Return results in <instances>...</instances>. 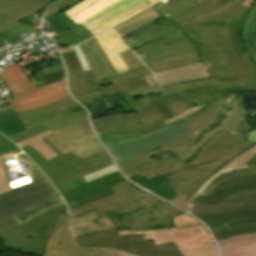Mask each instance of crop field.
<instances>
[{"mask_svg": "<svg viewBox=\"0 0 256 256\" xmlns=\"http://www.w3.org/2000/svg\"><path fill=\"white\" fill-rule=\"evenodd\" d=\"M151 6L160 17L164 15L178 30L201 22L229 20L232 46L237 57L246 51L241 24L249 9L237 0H179Z\"/></svg>", "mask_w": 256, "mask_h": 256, "instance_id": "34b2d1b8", "label": "crop field"}, {"mask_svg": "<svg viewBox=\"0 0 256 256\" xmlns=\"http://www.w3.org/2000/svg\"><path fill=\"white\" fill-rule=\"evenodd\" d=\"M246 165L249 166L251 169L234 171L219 177L217 180L211 182L210 185L207 186L199 196L212 192L216 187H218L219 185L223 184L226 181H230L232 179H237L240 177L256 175V157H254Z\"/></svg>", "mask_w": 256, "mask_h": 256, "instance_id": "c035e120", "label": "crop field"}, {"mask_svg": "<svg viewBox=\"0 0 256 256\" xmlns=\"http://www.w3.org/2000/svg\"><path fill=\"white\" fill-rule=\"evenodd\" d=\"M125 180L118 171L98 178L86 184H82L73 189L61 193V196L66 201L68 208L77 207L94 199L102 198L113 194L114 191L110 185H114Z\"/></svg>", "mask_w": 256, "mask_h": 256, "instance_id": "d9b57169", "label": "crop field"}, {"mask_svg": "<svg viewBox=\"0 0 256 256\" xmlns=\"http://www.w3.org/2000/svg\"><path fill=\"white\" fill-rule=\"evenodd\" d=\"M48 144L59 156L46 161L36 151H34L29 145L22 148V150L31 158V160L48 176L50 181L57 178L69 175L71 173L83 170L91 167L82 159L76 157L71 152L62 155L56 150L45 138L42 139Z\"/></svg>", "mask_w": 256, "mask_h": 256, "instance_id": "5142ce71", "label": "crop field"}, {"mask_svg": "<svg viewBox=\"0 0 256 256\" xmlns=\"http://www.w3.org/2000/svg\"><path fill=\"white\" fill-rule=\"evenodd\" d=\"M245 80L246 79L218 82L217 78H214V79H206V80L186 82V83H180V84H169V85H163L160 87L162 90H164L163 95H166V94L181 93V91L183 90L214 87V86H219V88L231 87V86H243Z\"/></svg>", "mask_w": 256, "mask_h": 256, "instance_id": "d32e631a", "label": "crop field"}, {"mask_svg": "<svg viewBox=\"0 0 256 256\" xmlns=\"http://www.w3.org/2000/svg\"><path fill=\"white\" fill-rule=\"evenodd\" d=\"M13 155H15L14 152L7 153V154L0 156V159H3V161H4V165H5V169H6V173H7L9 182L14 181V180L9 179V175H8V171H7V169H9V167L6 166L5 159H8L9 157H12ZM17 158H18L19 163H24L25 169H26V173H24V174H27L29 176V178L32 180V183L46 179V177L34 166L35 164L33 165V163L27 158V156L25 154H19L17 156ZM10 189H11V187H10Z\"/></svg>", "mask_w": 256, "mask_h": 256, "instance_id": "b54c1fbb", "label": "crop field"}, {"mask_svg": "<svg viewBox=\"0 0 256 256\" xmlns=\"http://www.w3.org/2000/svg\"><path fill=\"white\" fill-rule=\"evenodd\" d=\"M254 156H256V146L236 158L234 161H232L230 164H228L225 168H223L221 171L231 168V167H236V166H241L245 165L249 160H251Z\"/></svg>", "mask_w": 256, "mask_h": 256, "instance_id": "0fb4a251", "label": "crop field"}, {"mask_svg": "<svg viewBox=\"0 0 256 256\" xmlns=\"http://www.w3.org/2000/svg\"><path fill=\"white\" fill-rule=\"evenodd\" d=\"M116 194L87 203L69 211L70 217L80 215L95 209L99 218L107 216V211H115L116 214L137 210V207L148 208L160 201L146 193H140L126 184V180L111 186Z\"/></svg>", "mask_w": 256, "mask_h": 256, "instance_id": "d1516ede", "label": "crop field"}, {"mask_svg": "<svg viewBox=\"0 0 256 256\" xmlns=\"http://www.w3.org/2000/svg\"><path fill=\"white\" fill-rule=\"evenodd\" d=\"M183 94L185 95L186 99L191 101L195 106L172 118L167 119L164 122L165 124L194 115L205 109L203 108L204 106L222 97L218 87L184 91Z\"/></svg>", "mask_w": 256, "mask_h": 256, "instance_id": "730fd06b", "label": "crop field"}, {"mask_svg": "<svg viewBox=\"0 0 256 256\" xmlns=\"http://www.w3.org/2000/svg\"><path fill=\"white\" fill-rule=\"evenodd\" d=\"M255 2L256 0H244L243 5L250 8Z\"/></svg>", "mask_w": 256, "mask_h": 256, "instance_id": "ade564c9", "label": "crop field"}, {"mask_svg": "<svg viewBox=\"0 0 256 256\" xmlns=\"http://www.w3.org/2000/svg\"><path fill=\"white\" fill-rule=\"evenodd\" d=\"M119 92L122 93L123 97L132 95V92H131L127 82L124 81V82H120V83H117V84L110 85V86L105 87V88H100V90H98V91H96L92 94L77 97V99L81 103L87 104V103L93 102L92 99L99 98V97H104V96H107V95H112V94L119 93Z\"/></svg>", "mask_w": 256, "mask_h": 256, "instance_id": "b80d0937", "label": "crop field"}, {"mask_svg": "<svg viewBox=\"0 0 256 256\" xmlns=\"http://www.w3.org/2000/svg\"><path fill=\"white\" fill-rule=\"evenodd\" d=\"M47 22L50 24V29L57 34L52 37L60 44L76 45L92 37L81 26H74V23L63 12L47 19Z\"/></svg>", "mask_w": 256, "mask_h": 256, "instance_id": "92a150f3", "label": "crop field"}, {"mask_svg": "<svg viewBox=\"0 0 256 256\" xmlns=\"http://www.w3.org/2000/svg\"><path fill=\"white\" fill-rule=\"evenodd\" d=\"M256 256V255H255Z\"/></svg>", "mask_w": 256, "mask_h": 256, "instance_id": "180be81f", "label": "crop field"}, {"mask_svg": "<svg viewBox=\"0 0 256 256\" xmlns=\"http://www.w3.org/2000/svg\"><path fill=\"white\" fill-rule=\"evenodd\" d=\"M217 240L229 238L239 234L256 232V222L229 225L212 229Z\"/></svg>", "mask_w": 256, "mask_h": 256, "instance_id": "c21b1889", "label": "crop field"}, {"mask_svg": "<svg viewBox=\"0 0 256 256\" xmlns=\"http://www.w3.org/2000/svg\"><path fill=\"white\" fill-rule=\"evenodd\" d=\"M39 89L38 91L16 97V100L10 101V104L16 112H19L39 107L68 96L64 80L40 87Z\"/></svg>", "mask_w": 256, "mask_h": 256, "instance_id": "bc2a9ffb", "label": "crop field"}, {"mask_svg": "<svg viewBox=\"0 0 256 256\" xmlns=\"http://www.w3.org/2000/svg\"><path fill=\"white\" fill-rule=\"evenodd\" d=\"M98 89L91 71L70 74V90L75 97L89 94Z\"/></svg>", "mask_w": 256, "mask_h": 256, "instance_id": "e1f06a70", "label": "crop field"}, {"mask_svg": "<svg viewBox=\"0 0 256 256\" xmlns=\"http://www.w3.org/2000/svg\"><path fill=\"white\" fill-rule=\"evenodd\" d=\"M43 256H94V250L76 248L68 214L65 213L58 218L50 239H46Z\"/></svg>", "mask_w": 256, "mask_h": 256, "instance_id": "733c2abd", "label": "crop field"}, {"mask_svg": "<svg viewBox=\"0 0 256 256\" xmlns=\"http://www.w3.org/2000/svg\"><path fill=\"white\" fill-rule=\"evenodd\" d=\"M205 108L183 119L195 134L119 165L122 171L130 178L138 175L148 179L192 167L184 161L219 130L233 134L241 112L240 108L229 105L223 97Z\"/></svg>", "mask_w": 256, "mask_h": 256, "instance_id": "ac0d7876", "label": "crop field"}, {"mask_svg": "<svg viewBox=\"0 0 256 256\" xmlns=\"http://www.w3.org/2000/svg\"><path fill=\"white\" fill-rule=\"evenodd\" d=\"M180 32L195 43L202 62L155 73L160 85L213 77L219 81L247 78L243 90L256 89L255 65L247 52L237 59L231 46L228 21L197 24Z\"/></svg>", "mask_w": 256, "mask_h": 256, "instance_id": "8a807250", "label": "crop field"}, {"mask_svg": "<svg viewBox=\"0 0 256 256\" xmlns=\"http://www.w3.org/2000/svg\"><path fill=\"white\" fill-rule=\"evenodd\" d=\"M123 234H144L156 245L172 241L183 256H217L216 248L201 224L185 228L154 231H118Z\"/></svg>", "mask_w": 256, "mask_h": 256, "instance_id": "3316defc", "label": "crop field"}, {"mask_svg": "<svg viewBox=\"0 0 256 256\" xmlns=\"http://www.w3.org/2000/svg\"><path fill=\"white\" fill-rule=\"evenodd\" d=\"M52 186V184L48 181V179L34 183V184H30V185H26L17 189H13L9 192H6L2 195H0V204L13 199L15 197L36 191V190H40L46 187Z\"/></svg>", "mask_w": 256, "mask_h": 256, "instance_id": "25e5ab78", "label": "crop field"}, {"mask_svg": "<svg viewBox=\"0 0 256 256\" xmlns=\"http://www.w3.org/2000/svg\"><path fill=\"white\" fill-rule=\"evenodd\" d=\"M133 51L152 73L201 61L194 44L179 31Z\"/></svg>", "mask_w": 256, "mask_h": 256, "instance_id": "e52e79f7", "label": "crop field"}, {"mask_svg": "<svg viewBox=\"0 0 256 256\" xmlns=\"http://www.w3.org/2000/svg\"><path fill=\"white\" fill-rule=\"evenodd\" d=\"M146 0H122L80 23L88 32Z\"/></svg>", "mask_w": 256, "mask_h": 256, "instance_id": "750c4746", "label": "crop field"}, {"mask_svg": "<svg viewBox=\"0 0 256 256\" xmlns=\"http://www.w3.org/2000/svg\"><path fill=\"white\" fill-rule=\"evenodd\" d=\"M0 25L9 29L8 31H6V33L8 35H10L11 37H13L17 34H26L29 32H34L35 34L37 33V31L33 27H31L28 22L19 26L15 22H13L1 15H0Z\"/></svg>", "mask_w": 256, "mask_h": 256, "instance_id": "89e229c0", "label": "crop field"}, {"mask_svg": "<svg viewBox=\"0 0 256 256\" xmlns=\"http://www.w3.org/2000/svg\"><path fill=\"white\" fill-rule=\"evenodd\" d=\"M75 240L79 247L121 250L137 256H182L172 242L156 246L154 241L143 240V235L119 236L116 229L78 237Z\"/></svg>", "mask_w": 256, "mask_h": 256, "instance_id": "d8731c3e", "label": "crop field"}, {"mask_svg": "<svg viewBox=\"0 0 256 256\" xmlns=\"http://www.w3.org/2000/svg\"><path fill=\"white\" fill-rule=\"evenodd\" d=\"M68 73L90 70L79 45L73 48H59Z\"/></svg>", "mask_w": 256, "mask_h": 256, "instance_id": "0bd39190", "label": "crop field"}, {"mask_svg": "<svg viewBox=\"0 0 256 256\" xmlns=\"http://www.w3.org/2000/svg\"><path fill=\"white\" fill-rule=\"evenodd\" d=\"M1 41V40H0Z\"/></svg>", "mask_w": 256, "mask_h": 256, "instance_id": "7312dd0a", "label": "crop field"}, {"mask_svg": "<svg viewBox=\"0 0 256 256\" xmlns=\"http://www.w3.org/2000/svg\"><path fill=\"white\" fill-rule=\"evenodd\" d=\"M47 130V128L42 125L40 127L34 128V129H30V130H26L22 133L19 134H15V135H11V136H7L8 138H10L11 140H13L15 143L22 141L24 139L30 138L32 136H35L43 131Z\"/></svg>", "mask_w": 256, "mask_h": 256, "instance_id": "1d79db26", "label": "crop field"}, {"mask_svg": "<svg viewBox=\"0 0 256 256\" xmlns=\"http://www.w3.org/2000/svg\"><path fill=\"white\" fill-rule=\"evenodd\" d=\"M125 99L127 100L128 103L136 102V100H135V98H134L133 95H132V96H129V97H126Z\"/></svg>", "mask_w": 256, "mask_h": 256, "instance_id": "c5b07064", "label": "crop field"}, {"mask_svg": "<svg viewBox=\"0 0 256 256\" xmlns=\"http://www.w3.org/2000/svg\"><path fill=\"white\" fill-rule=\"evenodd\" d=\"M104 150L105 149L100 145V143L96 139H94L83 144L64 149L63 151H65L66 153L71 151L76 156L83 159L87 156L100 153Z\"/></svg>", "mask_w": 256, "mask_h": 256, "instance_id": "73cf0c24", "label": "crop field"}, {"mask_svg": "<svg viewBox=\"0 0 256 256\" xmlns=\"http://www.w3.org/2000/svg\"><path fill=\"white\" fill-rule=\"evenodd\" d=\"M234 141H235V148H236L237 156L242 154L244 151L251 148L252 146H254V143L243 140L237 136H234Z\"/></svg>", "mask_w": 256, "mask_h": 256, "instance_id": "db79e9e6", "label": "crop field"}, {"mask_svg": "<svg viewBox=\"0 0 256 256\" xmlns=\"http://www.w3.org/2000/svg\"><path fill=\"white\" fill-rule=\"evenodd\" d=\"M66 211L67 209L46 219L42 223L38 224L37 226L26 232L27 235L31 238H49L58 216L65 213Z\"/></svg>", "mask_w": 256, "mask_h": 256, "instance_id": "5d738f31", "label": "crop field"}, {"mask_svg": "<svg viewBox=\"0 0 256 256\" xmlns=\"http://www.w3.org/2000/svg\"><path fill=\"white\" fill-rule=\"evenodd\" d=\"M118 74L129 71L119 53L130 50L110 29L95 36ZM110 50V51H108Z\"/></svg>", "mask_w": 256, "mask_h": 256, "instance_id": "00972430", "label": "crop field"}, {"mask_svg": "<svg viewBox=\"0 0 256 256\" xmlns=\"http://www.w3.org/2000/svg\"><path fill=\"white\" fill-rule=\"evenodd\" d=\"M246 140L256 143V130L250 132Z\"/></svg>", "mask_w": 256, "mask_h": 256, "instance_id": "c39391a2", "label": "crop field"}, {"mask_svg": "<svg viewBox=\"0 0 256 256\" xmlns=\"http://www.w3.org/2000/svg\"><path fill=\"white\" fill-rule=\"evenodd\" d=\"M239 1L243 2V0H239Z\"/></svg>", "mask_w": 256, "mask_h": 256, "instance_id": "fb207236", "label": "crop field"}, {"mask_svg": "<svg viewBox=\"0 0 256 256\" xmlns=\"http://www.w3.org/2000/svg\"><path fill=\"white\" fill-rule=\"evenodd\" d=\"M159 97L163 100L167 109L172 113L173 116L193 106L192 103L188 102L185 99L183 94L166 95Z\"/></svg>", "mask_w": 256, "mask_h": 256, "instance_id": "425ffa30", "label": "crop field"}, {"mask_svg": "<svg viewBox=\"0 0 256 256\" xmlns=\"http://www.w3.org/2000/svg\"><path fill=\"white\" fill-rule=\"evenodd\" d=\"M80 47L97 82L115 76L93 39L80 44Z\"/></svg>", "mask_w": 256, "mask_h": 256, "instance_id": "ae1a2a85", "label": "crop field"}, {"mask_svg": "<svg viewBox=\"0 0 256 256\" xmlns=\"http://www.w3.org/2000/svg\"><path fill=\"white\" fill-rule=\"evenodd\" d=\"M114 171H116V168L114 167V165H112L110 167H107V168L102 169L100 171H97L95 173L84 176V178L86 179L87 182H89V181L94 180V179H96L98 177H101L103 175H108V174H110Z\"/></svg>", "mask_w": 256, "mask_h": 256, "instance_id": "0f1d7ab4", "label": "crop field"}, {"mask_svg": "<svg viewBox=\"0 0 256 256\" xmlns=\"http://www.w3.org/2000/svg\"><path fill=\"white\" fill-rule=\"evenodd\" d=\"M254 181H256V176L241 178V179H238V180H232L230 182H227V183L221 185L220 187L215 189L212 193L218 192V191H221V190H224V189H228V188H232V187L248 184V183L254 182Z\"/></svg>", "mask_w": 256, "mask_h": 256, "instance_id": "447ae74e", "label": "crop field"}, {"mask_svg": "<svg viewBox=\"0 0 256 256\" xmlns=\"http://www.w3.org/2000/svg\"><path fill=\"white\" fill-rule=\"evenodd\" d=\"M119 0H83L63 11L76 25Z\"/></svg>", "mask_w": 256, "mask_h": 256, "instance_id": "1d83c4d3", "label": "crop field"}, {"mask_svg": "<svg viewBox=\"0 0 256 256\" xmlns=\"http://www.w3.org/2000/svg\"><path fill=\"white\" fill-rule=\"evenodd\" d=\"M177 31V29L166 19H162L157 22H152L139 30L128 34L122 38L131 49H134L140 45L152 42L163 36ZM130 35L135 36V39L128 38Z\"/></svg>", "mask_w": 256, "mask_h": 256, "instance_id": "dafd665d", "label": "crop field"}, {"mask_svg": "<svg viewBox=\"0 0 256 256\" xmlns=\"http://www.w3.org/2000/svg\"><path fill=\"white\" fill-rule=\"evenodd\" d=\"M94 138L95 137L89 126L88 118L86 117L54 132V135L49 136L46 139L56 149L64 154L65 152H63L61 149L71 147Z\"/></svg>", "mask_w": 256, "mask_h": 256, "instance_id": "214f88e0", "label": "crop field"}, {"mask_svg": "<svg viewBox=\"0 0 256 256\" xmlns=\"http://www.w3.org/2000/svg\"><path fill=\"white\" fill-rule=\"evenodd\" d=\"M221 256H249L256 254V233L217 241Z\"/></svg>", "mask_w": 256, "mask_h": 256, "instance_id": "eef30255", "label": "crop field"}, {"mask_svg": "<svg viewBox=\"0 0 256 256\" xmlns=\"http://www.w3.org/2000/svg\"><path fill=\"white\" fill-rule=\"evenodd\" d=\"M66 208L67 207L65 204L53 208L22 224L21 226L10 216L0 224V235L4 242L5 248L42 256L44 253L45 239L28 238L25 232L54 213Z\"/></svg>", "mask_w": 256, "mask_h": 256, "instance_id": "cbeb9de0", "label": "crop field"}, {"mask_svg": "<svg viewBox=\"0 0 256 256\" xmlns=\"http://www.w3.org/2000/svg\"><path fill=\"white\" fill-rule=\"evenodd\" d=\"M234 158L232 134L223 130L218 132L189 162L194 167L167 174L170 182L164 183L166 189H173L177 195L169 202L189 211L188 201L194 192L211 175Z\"/></svg>", "mask_w": 256, "mask_h": 256, "instance_id": "412701ff", "label": "crop field"}, {"mask_svg": "<svg viewBox=\"0 0 256 256\" xmlns=\"http://www.w3.org/2000/svg\"><path fill=\"white\" fill-rule=\"evenodd\" d=\"M9 185L3 165V161H0V194L9 191Z\"/></svg>", "mask_w": 256, "mask_h": 256, "instance_id": "e1d0b9f6", "label": "crop field"}, {"mask_svg": "<svg viewBox=\"0 0 256 256\" xmlns=\"http://www.w3.org/2000/svg\"><path fill=\"white\" fill-rule=\"evenodd\" d=\"M168 127L145 136L120 142L105 143L114 154L118 164L168 145L193 134L189 126L181 119L167 124Z\"/></svg>", "mask_w": 256, "mask_h": 256, "instance_id": "5a996713", "label": "crop field"}, {"mask_svg": "<svg viewBox=\"0 0 256 256\" xmlns=\"http://www.w3.org/2000/svg\"><path fill=\"white\" fill-rule=\"evenodd\" d=\"M52 134L53 133L50 130H47L35 137L19 142L17 143V145L21 148L29 144L40 155H42L45 159L48 160L50 158L57 156V154L49 146H47L41 139Z\"/></svg>", "mask_w": 256, "mask_h": 256, "instance_id": "03da06ac", "label": "crop field"}, {"mask_svg": "<svg viewBox=\"0 0 256 256\" xmlns=\"http://www.w3.org/2000/svg\"><path fill=\"white\" fill-rule=\"evenodd\" d=\"M148 5H149V3L146 2V3H144V4H142V5L138 6V7H136V8H134V9H132V10H130V11H128V12H126V13H124V14L118 16V17H116V18H114L113 20H111V21H109V22H107V23L101 25L100 27L96 28L95 30H93V31H91V32H89V33L94 36V35H96V34L102 32L103 30L107 29L108 27L112 26L113 24L119 22L120 20L124 19L125 17L129 16L130 14H132V13H134V12H136V11H138V10H140V9H142V8H144V7H146V6H148Z\"/></svg>", "mask_w": 256, "mask_h": 256, "instance_id": "1f2cbd36", "label": "crop field"}, {"mask_svg": "<svg viewBox=\"0 0 256 256\" xmlns=\"http://www.w3.org/2000/svg\"><path fill=\"white\" fill-rule=\"evenodd\" d=\"M246 168H249V167H247V166L245 165V166H242V167L231 168V169H227V170H225V171H223V172H221V173H218V174L214 175L213 177H211V178L202 186V188L197 192V194H196L193 198L197 197V196L203 191V189H204L207 185H209V183H210L211 181L217 179L219 176H221V175H223V174H225V173H227V172H229V171L240 170V169H246Z\"/></svg>", "mask_w": 256, "mask_h": 256, "instance_id": "ae633e8c", "label": "crop field"}, {"mask_svg": "<svg viewBox=\"0 0 256 256\" xmlns=\"http://www.w3.org/2000/svg\"><path fill=\"white\" fill-rule=\"evenodd\" d=\"M173 223L177 228H180L184 226L198 224L199 222L183 214V215L173 217Z\"/></svg>", "mask_w": 256, "mask_h": 256, "instance_id": "0765c3eb", "label": "crop field"}, {"mask_svg": "<svg viewBox=\"0 0 256 256\" xmlns=\"http://www.w3.org/2000/svg\"><path fill=\"white\" fill-rule=\"evenodd\" d=\"M130 214L133 215L131 216L132 219L124 214V218H122L123 223L116 222V225L118 227H130L134 229H146L152 226L173 227V225L166 218L182 214V212L160 201L148 209Z\"/></svg>", "mask_w": 256, "mask_h": 256, "instance_id": "4a817a6b", "label": "crop field"}, {"mask_svg": "<svg viewBox=\"0 0 256 256\" xmlns=\"http://www.w3.org/2000/svg\"><path fill=\"white\" fill-rule=\"evenodd\" d=\"M93 39L96 42L99 49L101 50L104 57L106 58V60L108 61V63L110 64V66L112 67L113 71L116 73L113 66L109 62L108 58L106 57L105 53L103 52V50L101 49V47L99 46V44L97 43L94 37ZM121 56L123 57V59L125 60L126 64L128 65L131 71L124 73L122 75H118L116 73L117 76L109 78V81L111 82V84L151 74L148 68L138 60L137 56L132 51L121 53Z\"/></svg>", "mask_w": 256, "mask_h": 256, "instance_id": "5866460e", "label": "crop field"}, {"mask_svg": "<svg viewBox=\"0 0 256 256\" xmlns=\"http://www.w3.org/2000/svg\"><path fill=\"white\" fill-rule=\"evenodd\" d=\"M40 2V4H38ZM44 8V0H0V14L17 22ZM5 28L0 26V32Z\"/></svg>", "mask_w": 256, "mask_h": 256, "instance_id": "4177f3b9", "label": "crop field"}, {"mask_svg": "<svg viewBox=\"0 0 256 256\" xmlns=\"http://www.w3.org/2000/svg\"><path fill=\"white\" fill-rule=\"evenodd\" d=\"M18 147L6 137L0 139V154L14 151Z\"/></svg>", "mask_w": 256, "mask_h": 256, "instance_id": "78b8030e", "label": "crop field"}, {"mask_svg": "<svg viewBox=\"0 0 256 256\" xmlns=\"http://www.w3.org/2000/svg\"><path fill=\"white\" fill-rule=\"evenodd\" d=\"M163 127H166V125L164 123H161L157 126L149 127L146 129L119 132V133H111V134H101L100 137L102 138V140L104 142L119 141V140L135 138L140 135L148 134L150 132H153V131L158 130Z\"/></svg>", "mask_w": 256, "mask_h": 256, "instance_id": "d23c7cc5", "label": "crop field"}, {"mask_svg": "<svg viewBox=\"0 0 256 256\" xmlns=\"http://www.w3.org/2000/svg\"><path fill=\"white\" fill-rule=\"evenodd\" d=\"M77 106L69 96L24 112L16 113L13 108L0 111V132L7 136L42 124L54 132L87 116L85 112L71 110Z\"/></svg>", "mask_w": 256, "mask_h": 256, "instance_id": "dd49c442", "label": "crop field"}, {"mask_svg": "<svg viewBox=\"0 0 256 256\" xmlns=\"http://www.w3.org/2000/svg\"><path fill=\"white\" fill-rule=\"evenodd\" d=\"M83 160L88 162L93 167L88 168L83 171H80V172H77V173H74L72 175L60 178L58 180L52 181V183L58 189L59 193L65 191V190H68L72 187H75L77 185H80L82 183H85L86 181L84 180V178L82 176L92 173L94 171L100 170L102 168H105V167L113 164L109 154L106 151H104L100 154L94 155V156L87 157Z\"/></svg>", "mask_w": 256, "mask_h": 256, "instance_id": "a9b5d70f", "label": "crop field"}, {"mask_svg": "<svg viewBox=\"0 0 256 256\" xmlns=\"http://www.w3.org/2000/svg\"><path fill=\"white\" fill-rule=\"evenodd\" d=\"M0 76L14 95V97L38 90L33 86L16 63L6 67Z\"/></svg>", "mask_w": 256, "mask_h": 256, "instance_id": "bd1437ed", "label": "crop field"}, {"mask_svg": "<svg viewBox=\"0 0 256 256\" xmlns=\"http://www.w3.org/2000/svg\"><path fill=\"white\" fill-rule=\"evenodd\" d=\"M242 109H243V112L237 123V127L234 134L245 139L248 133L251 131L252 126L244 124L247 109H244V108Z\"/></svg>", "mask_w": 256, "mask_h": 256, "instance_id": "9d1cf04e", "label": "crop field"}, {"mask_svg": "<svg viewBox=\"0 0 256 256\" xmlns=\"http://www.w3.org/2000/svg\"><path fill=\"white\" fill-rule=\"evenodd\" d=\"M243 41L256 65V3L251 7L242 24Z\"/></svg>", "mask_w": 256, "mask_h": 256, "instance_id": "028f5c9d", "label": "crop field"}, {"mask_svg": "<svg viewBox=\"0 0 256 256\" xmlns=\"http://www.w3.org/2000/svg\"><path fill=\"white\" fill-rule=\"evenodd\" d=\"M61 204L64 202L52 186L1 205L0 223L11 215L21 225L40 213Z\"/></svg>", "mask_w": 256, "mask_h": 256, "instance_id": "22f410ed", "label": "crop field"}, {"mask_svg": "<svg viewBox=\"0 0 256 256\" xmlns=\"http://www.w3.org/2000/svg\"><path fill=\"white\" fill-rule=\"evenodd\" d=\"M79 1H81V0H55V1H53L52 6H51L46 18H49L65 9L69 8L70 6L76 4Z\"/></svg>", "mask_w": 256, "mask_h": 256, "instance_id": "dbb93151", "label": "crop field"}, {"mask_svg": "<svg viewBox=\"0 0 256 256\" xmlns=\"http://www.w3.org/2000/svg\"><path fill=\"white\" fill-rule=\"evenodd\" d=\"M95 256H131V255L112 251V250L95 249Z\"/></svg>", "mask_w": 256, "mask_h": 256, "instance_id": "d14b1444", "label": "crop field"}, {"mask_svg": "<svg viewBox=\"0 0 256 256\" xmlns=\"http://www.w3.org/2000/svg\"><path fill=\"white\" fill-rule=\"evenodd\" d=\"M129 105L135 114H120L93 120L97 133L147 127L172 116L161 99Z\"/></svg>", "mask_w": 256, "mask_h": 256, "instance_id": "28ad6ade", "label": "crop field"}, {"mask_svg": "<svg viewBox=\"0 0 256 256\" xmlns=\"http://www.w3.org/2000/svg\"><path fill=\"white\" fill-rule=\"evenodd\" d=\"M158 18L159 16L150 6L110 28L121 38Z\"/></svg>", "mask_w": 256, "mask_h": 256, "instance_id": "120bbe31", "label": "crop field"}, {"mask_svg": "<svg viewBox=\"0 0 256 256\" xmlns=\"http://www.w3.org/2000/svg\"><path fill=\"white\" fill-rule=\"evenodd\" d=\"M190 206L209 226L256 220V182L193 199Z\"/></svg>", "mask_w": 256, "mask_h": 256, "instance_id": "f4fd0767", "label": "crop field"}, {"mask_svg": "<svg viewBox=\"0 0 256 256\" xmlns=\"http://www.w3.org/2000/svg\"><path fill=\"white\" fill-rule=\"evenodd\" d=\"M156 1H160V0H149V3L152 4V3L156 2Z\"/></svg>", "mask_w": 256, "mask_h": 256, "instance_id": "c3a83c6f", "label": "crop field"}, {"mask_svg": "<svg viewBox=\"0 0 256 256\" xmlns=\"http://www.w3.org/2000/svg\"><path fill=\"white\" fill-rule=\"evenodd\" d=\"M221 93L229 104L240 107L239 96L236 90L221 91Z\"/></svg>", "mask_w": 256, "mask_h": 256, "instance_id": "7b73153f", "label": "crop field"}, {"mask_svg": "<svg viewBox=\"0 0 256 256\" xmlns=\"http://www.w3.org/2000/svg\"><path fill=\"white\" fill-rule=\"evenodd\" d=\"M74 237L115 229L108 217L99 219L95 210L71 219Z\"/></svg>", "mask_w": 256, "mask_h": 256, "instance_id": "d3111659", "label": "crop field"}]
</instances>
